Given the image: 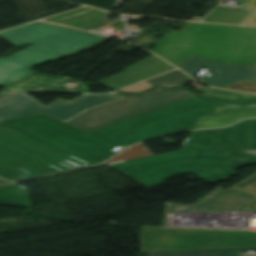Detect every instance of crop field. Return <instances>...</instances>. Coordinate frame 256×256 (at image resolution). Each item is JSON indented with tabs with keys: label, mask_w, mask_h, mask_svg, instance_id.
Masks as SVG:
<instances>
[{
	"label": "crop field",
	"mask_w": 256,
	"mask_h": 256,
	"mask_svg": "<svg viewBox=\"0 0 256 256\" xmlns=\"http://www.w3.org/2000/svg\"><path fill=\"white\" fill-rule=\"evenodd\" d=\"M216 102L193 97L92 132L43 114L3 121L0 125L92 165L140 140L193 129L200 116L213 115Z\"/></svg>",
	"instance_id": "crop-field-1"
},
{
	"label": "crop field",
	"mask_w": 256,
	"mask_h": 256,
	"mask_svg": "<svg viewBox=\"0 0 256 256\" xmlns=\"http://www.w3.org/2000/svg\"><path fill=\"white\" fill-rule=\"evenodd\" d=\"M151 51L176 66L188 55L255 66L256 28L189 23L181 32L169 31Z\"/></svg>",
	"instance_id": "crop-field-2"
},
{
	"label": "crop field",
	"mask_w": 256,
	"mask_h": 256,
	"mask_svg": "<svg viewBox=\"0 0 256 256\" xmlns=\"http://www.w3.org/2000/svg\"><path fill=\"white\" fill-rule=\"evenodd\" d=\"M255 163V157L232 151L181 148L108 166L150 189L171 176L186 172H194L207 181L229 179L236 173L234 168Z\"/></svg>",
	"instance_id": "crop-field-3"
},
{
	"label": "crop field",
	"mask_w": 256,
	"mask_h": 256,
	"mask_svg": "<svg viewBox=\"0 0 256 256\" xmlns=\"http://www.w3.org/2000/svg\"><path fill=\"white\" fill-rule=\"evenodd\" d=\"M0 37L17 45L35 43L7 59L0 58V84L13 83L34 73L26 68L28 66L89 48L104 39L100 35L46 23L24 25L0 33Z\"/></svg>",
	"instance_id": "crop-field-4"
},
{
	"label": "crop field",
	"mask_w": 256,
	"mask_h": 256,
	"mask_svg": "<svg viewBox=\"0 0 256 256\" xmlns=\"http://www.w3.org/2000/svg\"><path fill=\"white\" fill-rule=\"evenodd\" d=\"M86 164L0 127V177L9 181L52 174Z\"/></svg>",
	"instance_id": "crop-field-5"
},
{
	"label": "crop field",
	"mask_w": 256,
	"mask_h": 256,
	"mask_svg": "<svg viewBox=\"0 0 256 256\" xmlns=\"http://www.w3.org/2000/svg\"><path fill=\"white\" fill-rule=\"evenodd\" d=\"M116 94L128 97L91 108L65 123L85 131H92L195 96L187 90L160 88L143 93L117 92Z\"/></svg>",
	"instance_id": "crop-field-6"
},
{
	"label": "crop field",
	"mask_w": 256,
	"mask_h": 256,
	"mask_svg": "<svg viewBox=\"0 0 256 256\" xmlns=\"http://www.w3.org/2000/svg\"><path fill=\"white\" fill-rule=\"evenodd\" d=\"M256 246V232L141 228V252Z\"/></svg>",
	"instance_id": "crop-field-7"
},
{
	"label": "crop field",
	"mask_w": 256,
	"mask_h": 256,
	"mask_svg": "<svg viewBox=\"0 0 256 256\" xmlns=\"http://www.w3.org/2000/svg\"><path fill=\"white\" fill-rule=\"evenodd\" d=\"M120 98L122 97L114 95H82L70 102L59 99L45 106L26 93H1L0 121L33 113H43L64 122L88 108Z\"/></svg>",
	"instance_id": "crop-field-8"
},
{
	"label": "crop field",
	"mask_w": 256,
	"mask_h": 256,
	"mask_svg": "<svg viewBox=\"0 0 256 256\" xmlns=\"http://www.w3.org/2000/svg\"><path fill=\"white\" fill-rule=\"evenodd\" d=\"M183 147L224 148L243 152L256 150V118L222 129L192 131Z\"/></svg>",
	"instance_id": "crop-field-9"
},
{
	"label": "crop field",
	"mask_w": 256,
	"mask_h": 256,
	"mask_svg": "<svg viewBox=\"0 0 256 256\" xmlns=\"http://www.w3.org/2000/svg\"><path fill=\"white\" fill-rule=\"evenodd\" d=\"M255 199L256 197L233 188L225 192L218 187L194 205L168 204L166 213L238 211Z\"/></svg>",
	"instance_id": "crop-field-10"
},
{
	"label": "crop field",
	"mask_w": 256,
	"mask_h": 256,
	"mask_svg": "<svg viewBox=\"0 0 256 256\" xmlns=\"http://www.w3.org/2000/svg\"><path fill=\"white\" fill-rule=\"evenodd\" d=\"M213 68L216 77L204 82V84L220 87L239 80L256 81V67L236 64H221L193 56L187 57L177 67L181 68L190 76L195 75L203 66Z\"/></svg>",
	"instance_id": "crop-field-11"
},
{
	"label": "crop field",
	"mask_w": 256,
	"mask_h": 256,
	"mask_svg": "<svg viewBox=\"0 0 256 256\" xmlns=\"http://www.w3.org/2000/svg\"><path fill=\"white\" fill-rule=\"evenodd\" d=\"M172 68L173 66L153 55L101 83L117 90Z\"/></svg>",
	"instance_id": "crop-field-12"
},
{
	"label": "crop field",
	"mask_w": 256,
	"mask_h": 256,
	"mask_svg": "<svg viewBox=\"0 0 256 256\" xmlns=\"http://www.w3.org/2000/svg\"><path fill=\"white\" fill-rule=\"evenodd\" d=\"M66 81H69V79L57 78L45 74H32L19 82L0 86H4L2 91L43 92L44 90H51L65 92L67 89L63 87L62 83Z\"/></svg>",
	"instance_id": "crop-field-13"
},
{
	"label": "crop field",
	"mask_w": 256,
	"mask_h": 256,
	"mask_svg": "<svg viewBox=\"0 0 256 256\" xmlns=\"http://www.w3.org/2000/svg\"><path fill=\"white\" fill-rule=\"evenodd\" d=\"M108 16V13L90 8H82L72 12L60 14L46 20L77 27L83 30H89L98 28Z\"/></svg>",
	"instance_id": "crop-field-14"
},
{
	"label": "crop field",
	"mask_w": 256,
	"mask_h": 256,
	"mask_svg": "<svg viewBox=\"0 0 256 256\" xmlns=\"http://www.w3.org/2000/svg\"><path fill=\"white\" fill-rule=\"evenodd\" d=\"M0 205L31 207L26 188L18 184L0 186Z\"/></svg>",
	"instance_id": "crop-field-15"
},
{
	"label": "crop field",
	"mask_w": 256,
	"mask_h": 256,
	"mask_svg": "<svg viewBox=\"0 0 256 256\" xmlns=\"http://www.w3.org/2000/svg\"><path fill=\"white\" fill-rule=\"evenodd\" d=\"M247 250L256 251V247L151 252V256H237L238 251Z\"/></svg>",
	"instance_id": "crop-field-16"
},
{
	"label": "crop field",
	"mask_w": 256,
	"mask_h": 256,
	"mask_svg": "<svg viewBox=\"0 0 256 256\" xmlns=\"http://www.w3.org/2000/svg\"><path fill=\"white\" fill-rule=\"evenodd\" d=\"M250 13L242 9L238 12L216 8L203 21L215 23L240 24Z\"/></svg>",
	"instance_id": "crop-field-17"
},
{
	"label": "crop field",
	"mask_w": 256,
	"mask_h": 256,
	"mask_svg": "<svg viewBox=\"0 0 256 256\" xmlns=\"http://www.w3.org/2000/svg\"><path fill=\"white\" fill-rule=\"evenodd\" d=\"M256 116V114H241V115H223V116H209L200 117L194 129L212 128L226 126L234 121L242 118Z\"/></svg>",
	"instance_id": "crop-field-18"
},
{
	"label": "crop field",
	"mask_w": 256,
	"mask_h": 256,
	"mask_svg": "<svg viewBox=\"0 0 256 256\" xmlns=\"http://www.w3.org/2000/svg\"><path fill=\"white\" fill-rule=\"evenodd\" d=\"M192 81L183 73L179 72L178 70L157 76L155 78L149 79L145 81L146 83L159 86V87H173L179 86L185 83Z\"/></svg>",
	"instance_id": "crop-field-19"
},
{
	"label": "crop field",
	"mask_w": 256,
	"mask_h": 256,
	"mask_svg": "<svg viewBox=\"0 0 256 256\" xmlns=\"http://www.w3.org/2000/svg\"><path fill=\"white\" fill-rule=\"evenodd\" d=\"M256 113V102L223 103L218 101L214 115Z\"/></svg>",
	"instance_id": "crop-field-20"
},
{
	"label": "crop field",
	"mask_w": 256,
	"mask_h": 256,
	"mask_svg": "<svg viewBox=\"0 0 256 256\" xmlns=\"http://www.w3.org/2000/svg\"><path fill=\"white\" fill-rule=\"evenodd\" d=\"M233 188L256 196V174L237 184Z\"/></svg>",
	"instance_id": "crop-field-21"
},
{
	"label": "crop field",
	"mask_w": 256,
	"mask_h": 256,
	"mask_svg": "<svg viewBox=\"0 0 256 256\" xmlns=\"http://www.w3.org/2000/svg\"><path fill=\"white\" fill-rule=\"evenodd\" d=\"M243 100H256V95L230 92L223 99H221V101H243Z\"/></svg>",
	"instance_id": "crop-field-22"
},
{
	"label": "crop field",
	"mask_w": 256,
	"mask_h": 256,
	"mask_svg": "<svg viewBox=\"0 0 256 256\" xmlns=\"http://www.w3.org/2000/svg\"><path fill=\"white\" fill-rule=\"evenodd\" d=\"M225 89L240 90L246 92H256V83L241 82L232 86L225 87Z\"/></svg>",
	"instance_id": "crop-field-23"
},
{
	"label": "crop field",
	"mask_w": 256,
	"mask_h": 256,
	"mask_svg": "<svg viewBox=\"0 0 256 256\" xmlns=\"http://www.w3.org/2000/svg\"><path fill=\"white\" fill-rule=\"evenodd\" d=\"M250 1L245 8L254 10L253 14L246 20L245 25L256 26V0H247Z\"/></svg>",
	"instance_id": "crop-field-24"
},
{
	"label": "crop field",
	"mask_w": 256,
	"mask_h": 256,
	"mask_svg": "<svg viewBox=\"0 0 256 256\" xmlns=\"http://www.w3.org/2000/svg\"><path fill=\"white\" fill-rule=\"evenodd\" d=\"M227 93V91H221V90H216L213 92H209L204 94L205 96L209 97V98H213V99H217L220 100L221 98H223Z\"/></svg>",
	"instance_id": "crop-field-25"
},
{
	"label": "crop field",
	"mask_w": 256,
	"mask_h": 256,
	"mask_svg": "<svg viewBox=\"0 0 256 256\" xmlns=\"http://www.w3.org/2000/svg\"><path fill=\"white\" fill-rule=\"evenodd\" d=\"M148 87H151V86L146 84V83H144V82H142V83H139L137 85L125 88L122 91H140V90L146 89Z\"/></svg>",
	"instance_id": "crop-field-26"
},
{
	"label": "crop field",
	"mask_w": 256,
	"mask_h": 256,
	"mask_svg": "<svg viewBox=\"0 0 256 256\" xmlns=\"http://www.w3.org/2000/svg\"><path fill=\"white\" fill-rule=\"evenodd\" d=\"M240 211H256V200L241 209Z\"/></svg>",
	"instance_id": "crop-field-27"
},
{
	"label": "crop field",
	"mask_w": 256,
	"mask_h": 256,
	"mask_svg": "<svg viewBox=\"0 0 256 256\" xmlns=\"http://www.w3.org/2000/svg\"><path fill=\"white\" fill-rule=\"evenodd\" d=\"M3 183H8V182L5 181V180L0 179V184H3Z\"/></svg>",
	"instance_id": "crop-field-28"
}]
</instances>
